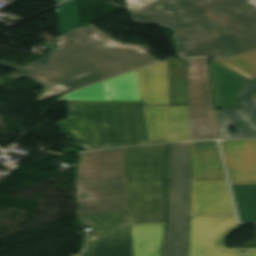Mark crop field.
<instances>
[{
    "mask_svg": "<svg viewBox=\"0 0 256 256\" xmlns=\"http://www.w3.org/2000/svg\"><path fill=\"white\" fill-rule=\"evenodd\" d=\"M140 103L169 104L167 60L137 71Z\"/></svg>",
    "mask_w": 256,
    "mask_h": 256,
    "instance_id": "5142ce71",
    "label": "crop field"
},
{
    "mask_svg": "<svg viewBox=\"0 0 256 256\" xmlns=\"http://www.w3.org/2000/svg\"><path fill=\"white\" fill-rule=\"evenodd\" d=\"M90 37H92L93 39H98L99 41H101L103 44H105L108 47H131L133 49L145 51L143 48H140V47H136V46H132V45H126V44H120V43L114 42V41L110 40L109 38H107L105 35H103L100 32L95 34V35H92Z\"/></svg>",
    "mask_w": 256,
    "mask_h": 256,
    "instance_id": "00972430",
    "label": "crop field"
},
{
    "mask_svg": "<svg viewBox=\"0 0 256 256\" xmlns=\"http://www.w3.org/2000/svg\"><path fill=\"white\" fill-rule=\"evenodd\" d=\"M169 1H170L171 4H173L171 0H169ZM173 5H174V4H173ZM174 6H175V5H174ZM175 7H176V6H175ZM176 8H177V7H176ZM177 9H178V8H177ZM178 10H179V9H178ZM179 12H180V10H179ZM180 13H181V12H180Z\"/></svg>",
    "mask_w": 256,
    "mask_h": 256,
    "instance_id": "750c4746",
    "label": "crop field"
},
{
    "mask_svg": "<svg viewBox=\"0 0 256 256\" xmlns=\"http://www.w3.org/2000/svg\"><path fill=\"white\" fill-rule=\"evenodd\" d=\"M129 10L152 0H127Z\"/></svg>",
    "mask_w": 256,
    "mask_h": 256,
    "instance_id": "4177f3b9",
    "label": "crop field"
},
{
    "mask_svg": "<svg viewBox=\"0 0 256 256\" xmlns=\"http://www.w3.org/2000/svg\"><path fill=\"white\" fill-rule=\"evenodd\" d=\"M97 32L93 26L76 29L60 36L56 50L33 63L22 67L0 61V67L17 71L8 75L13 79L28 77L43 88L61 82L74 90L158 61L130 48H107L89 37Z\"/></svg>",
    "mask_w": 256,
    "mask_h": 256,
    "instance_id": "34b2d1b8",
    "label": "crop field"
},
{
    "mask_svg": "<svg viewBox=\"0 0 256 256\" xmlns=\"http://www.w3.org/2000/svg\"><path fill=\"white\" fill-rule=\"evenodd\" d=\"M86 199H94L92 195L88 194L87 191H81L78 186V201L86 200Z\"/></svg>",
    "mask_w": 256,
    "mask_h": 256,
    "instance_id": "730fd06b",
    "label": "crop field"
},
{
    "mask_svg": "<svg viewBox=\"0 0 256 256\" xmlns=\"http://www.w3.org/2000/svg\"><path fill=\"white\" fill-rule=\"evenodd\" d=\"M254 94H256V79L248 81L238 100Z\"/></svg>",
    "mask_w": 256,
    "mask_h": 256,
    "instance_id": "a9b5d70f",
    "label": "crop field"
},
{
    "mask_svg": "<svg viewBox=\"0 0 256 256\" xmlns=\"http://www.w3.org/2000/svg\"><path fill=\"white\" fill-rule=\"evenodd\" d=\"M190 190L189 142L170 144L169 216L162 256H188Z\"/></svg>",
    "mask_w": 256,
    "mask_h": 256,
    "instance_id": "dd49c442",
    "label": "crop field"
},
{
    "mask_svg": "<svg viewBox=\"0 0 256 256\" xmlns=\"http://www.w3.org/2000/svg\"><path fill=\"white\" fill-rule=\"evenodd\" d=\"M248 251L247 253H251L252 251L256 249H227L228 252H233V253H239V254H246V253H241V251Z\"/></svg>",
    "mask_w": 256,
    "mask_h": 256,
    "instance_id": "eef30255",
    "label": "crop field"
},
{
    "mask_svg": "<svg viewBox=\"0 0 256 256\" xmlns=\"http://www.w3.org/2000/svg\"><path fill=\"white\" fill-rule=\"evenodd\" d=\"M220 143L231 184L256 183V140Z\"/></svg>",
    "mask_w": 256,
    "mask_h": 256,
    "instance_id": "28ad6ade",
    "label": "crop field"
},
{
    "mask_svg": "<svg viewBox=\"0 0 256 256\" xmlns=\"http://www.w3.org/2000/svg\"><path fill=\"white\" fill-rule=\"evenodd\" d=\"M222 65L244 75L249 80L256 78V52L233 57L216 59Z\"/></svg>",
    "mask_w": 256,
    "mask_h": 256,
    "instance_id": "214f88e0",
    "label": "crop field"
},
{
    "mask_svg": "<svg viewBox=\"0 0 256 256\" xmlns=\"http://www.w3.org/2000/svg\"><path fill=\"white\" fill-rule=\"evenodd\" d=\"M57 15L61 35L79 27L77 0H69L57 6Z\"/></svg>",
    "mask_w": 256,
    "mask_h": 256,
    "instance_id": "92a150f3",
    "label": "crop field"
},
{
    "mask_svg": "<svg viewBox=\"0 0 256 256\" xmlns=\"http://www.w3.org/2000/svg\"><path fill=\"white\" fill-rule=\"evenodd\" d=\"M251 98L256 102V95L251 96Z\"/></svg>",
    "mask_w": 256,
    "mask_h": 256,
    "instance_id": "d3111659",
    "label": "crop field"
},
{
    "mask_svg": "<svg viewBox=\"0 0 256 256\" xmlns=\"http://www.w3.org/2000/svg\"><path fill=\"white\" fill-rule=\"evenodd\" d=\"M70 91L68 88H66L64 85H62L61 83L51 86L49 88L43 89L42 92L43 94L40 95L39 99H37L38 101L64 93Z\"/></svg>",
    "mask_w": 256,
    "mask_h": 256,
    "instance_id": "dafd665d",
    "label": "crop field"
},
{
    "mask_svg": "<svg viewBox=\"0 0 256 256\" xmlns=\"http://www.w3.org/2000/svg\"><path fill=\"white\" fill-rule=\"evenodd\" d=\"M140 103L68 101V120L56 122L88 150L145 144Z\"/></svg>",
    "mask_w": 256,
    "mask_h": 256,
    "instance_id": "412701ff",
    "label": "crop field"
},
{
    "mask_svg": "<svg viewBox=\"0 0 256 256\" xmlns=\"http://www.w3.org/2000/svg\"><path fill=\"white\" fill-rule=\"evenodd\" d=\"M249 2L256 6V0H250Z\"/></svg>",
    "mask_w": 256,
    "mask_h": 256,
    "instance_id": "ae1a2a85",
    "label": "crop field"
},
{
    "mask_svg": "<svg viewBox=\"0 0 256 256\" xmlns=\"http://www.w3.org/2000/svg\"><path fill=\"white\" fill-rule=\"evenodd\" d=\"M61 100L140 101L136 71L69 93Z\"/></svg>",
    "mask_w": 256,
    "mask_h": 256,
    "instance_id": "d1516ede",
    "label": "crop field"
},
{
    "mask_svg": "<svg viewBox=\"0 0 256 256\" xmlns=\"http://www.w3.org/2000/svg\"><path fill=\"white\" fill-rule=\"evenodd\" d=\"M77 180L95 198L79 201L77 213L128 209L123 148L82 154Z\"/></svg>",
    "mask_w": 256,
    "mask_h": 256,
    "instance_id": "f4fd0767",
    "label": "crop field"
},
{
    "mask_svg": "<svg viewBox=\"0 0 256 256\" xmlns=\"http://www.w3.org/2000/svg\"><path fill=\"white\" fill-rule=\"evenodd\" d=\"M190 216H235L227 180L192 181Z\"/></svg>",
    "mask_w": 256,
    "mask_h": 256,
    "instance_id": "3316defc",
    "label": "crop field"
},
{
    "mask_svg": "<svg viewBox=\"0 0 256 256\" xmlns=\"http://www.w3.org/2000/svg\"><path fill=\"white\" fill-rule=\"evenodd\" d=\"M72 256H79V255H72Z\"/></svg>",
    "mask_w": 256,
    "mask_h": 256,
    "instance_id": "bd1437ed",
    "label": "crop field"
},
{
    "mask_svg": "<svg viewBox=\"0 0 256 256\" xmlns=\"http://www.w3.org/2000/svg\"><path fill=\"white\" fill-rule=\"evenodd\" d=\"M148 143L169 141V106H146L142 105Z\"/></svg>",
    "mask_w": 256,
    "mask_h": 256,
    "instance_id": "4a817a6b",
    "label": "crop field"
},
{
    "mask_svg": "<svg viewBox=\"0 0 256 256\" xmlns=\"http://www.w3.org/2000/svg\"><path fill=\"white\" fill-rule=\"evenodd\" d=\"M167 144L124 148L129 210L80 214L97 229L82 256H132L130 224L165 222Z\"/></svg>",
    "mask_w": 256,
    "mask_h": 256,
    "instance_id": "ac0d7876",
    "label": "crop field"
},
{
    "mask_svg": "<svg viewBox=\"0 0 256 256\" xmlns=\"http://www.w3.org/2000/svg\"><path fill=\"white\" fill-rule=\"evenodd\" d=\"M192 180L227 179L217 141L190 142Z\"/></svg>",
    "mask_w": 256,
    "mask_h": 256,
    "instance_id": "22f410ed",
    "label": "crop field"
},
{
    "mask_svg": "<svg viewBox=\"0 0 256 256\" xmlns=\"http://www.w3.org/2000/svg\"><path fill=\"white\" fill-rule=\"evenodd\" d=\"M155 0L130 10L139 23H159L175 32L187 57L230 56L256 50V7L248 0Z\"/></svg>",
    "mask_w": 256,
    "mask_h": 256,
    "instance_id": "8a807250",
    "label": "crop field"
},
{
    "mask_svg": "<svg viewBox=\"0 0 256 256\" xmlns=\"http://www.w3.org/2000/svg\"><path fill=\"white\" fill-rule=\"evenodd\" d=\"M164 225H131L134 256H159Z\"/></svg>",
    "mask_w": 256,
    "mask_h": 256,
    "instance_id": "733c2abd",
    "label": "crop field"
},
{
    "mask_svg": "<svg viewBox=\"0 0 256 256\" xmlns=\"http://www.w3.org/2000/svg\"><path fill=\"white\" fill-rule=\"evenodd\" d=\"M231 186L241 222H256V184Z\"/></svg>",
    "mask_w": 256,
    "mask_h": 256,
    "instance_id": "bc2a9ffb",
    "label": "crop field"
},
{
    "mask_svg": "<svg viewBox=\"0 0 256 256\" xmlns=\"http://www.w3.org/2000/svg\"><path fill=\"white\" fill-rule=\"evenodd\" d=\"M239 102L243 109H217L222 139L256 138V103L250 97ZM230 125L236 134L230 133Z\"/></svg>",
    "mask_w": 256,
    "mask_h": 256,
    "instance_id": "cbeb9de0",
    "label": "crop field"
},
{
    "mask_svg": "<svg viewBox=\"0 0 256 256\" xmlns=\"http://www.w3.org/2000/svg\"><path fill=\"white\" fill-rule=\"evenodd\" d=\"M190 140L218 139L206 58L187 59Z\"/></svg>",
    "mask_w": 256,
    "mask_h": 256,
    "instance_id": "e52e79f7",
    "label": "crop field"
},
{
    "mask_svg": "<svg viewBox=\"0 0 256 256\" xmlns=\"http://www.w3.org/2000/svg\"><path fill=\"white\" fill-rule=\"evenodd\" d=\"M171 142L189 140L188 82L186 59H169Z\"/></svg>",
    "mask_w": 256,
    "mask_h": 256,
    "instance_id": "5a996713",
    "label": "crop field"
},
{
    "mask_svg": "<svg viewBox=\"0 0 256 256\" xmlns=\"http://www.w3.org/2000/svg\"><path fill=\"white\" fill-rule=\"evenodd\" d=\"M216 108L240 107L237 99L246 78L222 66L215 60L210 61Z\"/></svg>",
    "mask_w": 256,
    "mask_h": 256,
    "instance_id": "d9b57169",
    "label": "crop field"
},
{
    "mask_svg": "<svg viewBox=\"0 0 256 256\" xmlns=\"http://www.w3.org/2000/svg\"><path fill=\"white\" fill-rule=\"evenodd\" d=\"M238 227L236 217H190L189 256H256L226 252L224 239Z\"/></svg>",
    "mask_w": 256,
    "mask_h": 256,
    "instance_id": "d8731c3e",
    "label": "crop field"
}]
</instances>
